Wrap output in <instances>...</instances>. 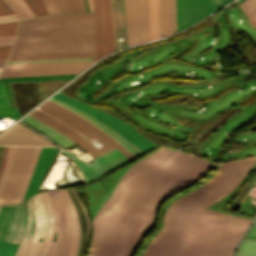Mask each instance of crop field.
Wrapping results in <instances>:
<instances>
[{"instance_id": "obj_1", "label": "crop field", "mask_w": 256, "mask_h": 256, "mask_svg": "<svg viewBox=\"0 0 256 256\" xmlns=\"http://www.w3.org/2000/svg\"><path fill=\"white\" fill-rule=\"evenodd\" d=\"M210 165L163 147L131 165L92 221L88 256H130L152 226L156 205L200 177Z\"/></svg>"}, {"instance_id": "obj_2", "label": "crop field", "mask_w": 256, "mask_h": 256, "mask_svg": "<svg viewBox=\"0 0 256 256\" xmlns=\"http://www.w3.org/2000/svg\"><path fill=\"white\" fill-rule=\"evenodd\" d=\"M248 160L222 164L219 171L203 185L174 200L165 212L162 229L141 256H231L240 234L244 233L252 220L203 208L220 200L236 187L256 163V158ZM187 217L190 222L240 234L190 223Z\"/></svg>"}, {"instance_id": "obj_3", "label": "crop field", "mask_w": 256, "mask_h": 256, "mask_svg": "<svg viewBox=\"0 0 256 256\" xmlns=\"http://www.w3.org/2000/svg\"><path fill=\"white\" fill-rule=\"evenodd\" d=\"M94 32L17 37L7 61L93 57Z\"/></svg>"}, {"instance_id": "obj_4", "label": "crop field", "mask_w": 256, "mask_h": 256, "mask_svg": "<svg viewBox=\"0 0 256 256\" xmlns=\"http://www.w3.org/2000/svg\"><path fill=\"white\" fill-rule=\"evenodd\" d=\"M39 108L51 114L52 116L58 118L59 120L63 121L67 125L71 126L78 132L88 137L90 140L96 137L104 145L98 149L92 146L88 141H86L82 136L73 131L71 128H69L62 122L52 118L51 116L37 109L30 113L31 116L37 118L38 120L46 123L47 125L55 128L56 130L71 138L76 144H78L84 151H86L92 157L116 147L131 160L135 158L124 148H122L118 143H116L111 137H109L106 133H104L103 131H101L88 121H86L78 114L64 107H61L49 100H47L45 103L39 106Z\"/></svg>"}, {"instance_id": "obj_5", "label": "crop field", "mask_w": 256, "mask_h": 256, "mask_svg": "<svg viewBox=\"0 0 256 256\" xmlns=\"http://www.w3.org/2000/svg\"><path fill=\"white\" fill-rule=\"evenodd\" d=\"M29 225L16 256H44L50 236L52 216L46 194L28 199ZM42 239L41 241H38Z\"/></svg>"}, {"instance_id": "obj_6", "label": "crop field", "mask_w": 256, "mask_h": 256, "mask_svg": "<svg viewBox=\"0 0 256 256\" xmlns=\"http://www.w3.org/2000/svg\"><path fill=\"white\" fill-rule=\"evenodd\" d=\"M94 31L93 13L20 21L18 36Z\"/></svg>"}, {"instance_id": "obj_7", "label": "crop field", "mask_w": 256, "mask_h": 256, "mask_svg": "<svg viewBox=\"0 0 256 256\" xmlns=\"http://www.w3.org/2000/svg\"><path fill=\"white\" fill-rule=\"evenodd\" d=\"M52 208L53 224L49 241L70 242L71 226L67 205L60 191L46 193ZM49 242L45 256H67L70 243Z\"/></svg>"}, {"instance_id": "obj_8", "label": "crop field", "mask_w": 256, "mask_h": 256, "mask_svg": "<svg viewBox=\"0 0 256 256\" xmlns=\"http://www.w3.org/2000/svg\"><path fill=\"white\" fill-rule=\"evenodd\" d=\"M53 97L66 102L84 112L87 114L95 117L96 119L102 121L104 124H106L109 128L114 130L116 133L121 135L123 138L134 144L136 147L141 149L142 151H147L154 146L151 141H149L147 138H145L143 135H141L139 132H137L135 129H133L131 126H129L127 123L107 114L102 111H99L97 109H94L92 107H89L87 105H84L80 102H77L73 99H70L66 96H63L59 93L55 94Z\"/></svg>"}, {"instance_id": "obj_9", "label": "crop field", "mask_w": 256, "mask_h": 256, "mask_svg": "<svg viewBox=\"0 0 256 256\" xmlns=\"http://www.w3.org/2000/svg\"><path fill=\"white\" fill-rule=\"evenodd\" d=\"M93 61L6 64L0 77L42 74H79Z\"/></svg>"}, {"instance_id": "obj_10", "label": "crop field", "mask_w": 256, "mask_h": 256, "mask_svg": "<svg viewBox=\"0 0 256 256\" xmlns=\"http://www.w3.org/2000/svg\"><path fill=\"white\" fill-rule=\"evenodd\" d=\"M35 147H18L8 175L6 184L0 197L4 198L2 205L12 204L19 183L29 165Z\"/></svg>"}, {"instance_id": "obj_11", "label": "crop field", "mask_w": 256, "mask_h": 256, "mask_svg": "<svg viewBox=\"0 0 256 256\" xmlns=\"http://www.w3.org/2000/svg\"><path fill=\"white\" fill-rule=\"evenodd\" d=\"M213 12L212 0H176L177 32Z\"/></svg>"}, {"instance_id": "obj_12", "label": "crop field", "mask_w": 256, "mask_h": 256, "mask_svg": "<svg viewBox=\"0 0 256 256\" xmlns=\"http://www.w3.org/2000/svg\"><path fill=\"white\" fill-rule=\"evenodd\" d=\"M20 204L0 207V256H4L17 229Z\"/></svg>"}, {"instance_id": "obj_13", "label": "crop field", "mask_w": 256, "mask_h": 256, "mask_svg": "<svg viewBox=\"0 0 256 256\" xmlns=\"http://www.w3.org/2000/svg\"><path fill=\"white\" fill-rule=\"evenodd\" d=\"M0 145L53 146L18 123L0 135Z\"/></svg>"}, {"instance_id": "obj_14", "label": "crop field", "mask_w": 256, "mask_h": 256, "mask_svg": "<svg viewBox=\"0 0 256 256\" xmlns=\"http://www.w3.org/2000/svg\"><path fill=\"white\" fill-rule=\"evenodd\" d=\"M129 45L142 41L140 1L124 0Z\"/></svg>"}, {"instance_id": "obj_15", "label": "crop field", "mask_w": 256, "mask_h": 256, "mask_svg": "<svg viewBox=\"0 0 256 256\" xmlns=\"http://www.w3.org/2000/svg\"><path fill=\"white\" fill-rule=\"evenodd\" d=\"M57 152H58V150H56L54 148H47V147L41 148V152L39 155L36 169L33 173L31 181L28 185V188L25 193L23 201L37 192L38 185H39L46 169L48 168V166L50 165V163L56 156Z\"/></svg>"}, {"instance_id": "obj_16", "label": "crop field", "mask_w": 256, "mask_h": 256, "mask_svg": "<svg viewBox=\"0 0 256 256\" xmlns=\"http://www.w3.org/2000/svg\"><path fill=\"white\" fill-rule=\"evenodd\" d=\"M114 39L116 51L118 50L117 37H124L120 42L121 49L128 46L123 0H110Z\"/></svg>"}, {"instance_id": "obj_17", "label": "crop field", "mask_w": 256, "mask_h": 256, "mask_svg": "<svg viewBox=\"0 0 256 256\" xmlns=\"http://www.w3.org/2000/svg\"><path fill=\"white\" fill-rule=\"evenodd\" d=\"M103 35H104V56L115 51L109 0H100Z\"/></svg>"}, {"instance_id": "obj_18", "label": "crop field", "mask_w": 256, "mask_h": 256, "mask_svg": "<svg viewBox=\"0 0 256 256\" xmlns=\"http://www.w3.org/2000/svg\"><path fill=\"white\" fill-rule=\"evenodd\" d=\"M61 192H62V194L65 198V201L68 205V209H69V213H70V217H71V225H72L71 245H70L68 256H76L79 234H80L78 217L76 214L74 204H73L67 190H63Z\"/></svg>"}, {"instance_id": "obj_19", "label": "crop field", "mask_w": 256, "mask_h": 256, "mask_svg": "<svg viewBox=\"0 0 256 256\" xmlns=\"http://www.w3.org/2000/svg\"><path fill=\"white\" fill-rule=\"evenodd\" d=\"M28 225V210H27V201L21 204L20 209V220H19V226L16 232V235L7 251L6 256H14L17 249L19 248Z\"/></svg>"}, {"instance_id": "obj_20", "label": "crop field", "mask_w": 256, "mask_h": 256, "mask_svg": "<svg viewBox=\"0 0 256 256\" xmlns=\"http://www.w3.org/2000/svg\"><path fill=\"white\" fill-rule=\"evenodd\" d=\"M94 8L95 19V54L94 61L103 57V35H102V23L100 15L99 0H92Z\"/></svg>"}, {"instance_id": "obj_21", "label": "crop field", "mask_w": 256, "mask_h": 256, "mask_svg": "<svg viewBox=\"0 0 256 256\" xmlns=\"http://www.w3.org/2000/svg\"><path fill=\"white\" fill-rule=\"evenodd\" d=\"M40 148L41 147H36L35 148V151H34V154H33V157L31 159V162H30V165H29V168L19 186V189H18V192H17V195H16V198H15V202L14 203H20L22 201V198L24 196V193H25V190L27 188V185L30 181V178L32 176V173L35 169V166H36V162H37V159H38V155H39V152H40Z\"/></svg>"}, {"instance_id": "obj_22", "label": "crop field", "mask_w": 256, "mask_h": 256, "mask_svg": "<svg viewBox=\"0 0 256 256\" xmlns=\"http://www.w3.org/2000/svg\"><path fill=\"white\" fill-rule=\"evenodd\" d=\"M60 13L87 12L84 0H54Z\"/></svg>"}, {"instance_id": "obj_23", "label": "crop field", "mask_w": 256, "mask_h": 256, "mask_svg": "<svg viewBox=\"0 0 256 256\" xmlns=\"http://www.w3.org/2000/svg\"><path fill=\"white\" fill-rule=\"evenodd\" d=\"M8 7L13 11L14 15L19 19H28L29 16L26 14L24 9L21 7L17 0H4ZM2 0H0V15L12 13Z\"/></svg>"}, {"instance_id": "obj_24", "label": "crop field", "mask_w": 256, "mask_h": 256, "mask_svg": "<svg viewBox=\"0 0 256 256\" xmlns=\"http://www.w3.org/2000/svg\"><path fill=\"white\" fill-rule=\"evenodd\" d=\"M247 236L256 237V224ZM236 256H256V240L244 239Z\"/></svg>"}, {"instance_id": "obj_25", "label": "crop field", "mask_w": 256, "mask_h": 256, "mask_svg": "<svg viewBox=\"0 0 256 256\" xmlns=\"http://www.w3.org/2000/svg\"><path fill=\"white\" fill-rule=\"evenodd\" d=\"M143 42L150 40L149 1L141 0Z\"/></svg>"}, {"instance_id": "obj_26", "label": "crop field", "mask_w": 256, "mask_h": 256, "mask_svg": "<svg viewBox=\"0 0 256 256\" xmlns=\"http://www.w3.org/2000/svg\"><path fill=\"white\" fill-rule=\"evenodd\" d=\"M0 85V118L19 117L16 108L9 109L3 83Z\"/></svg>"}, {"instance_id": "obj_27", "label": "crop field", "mask_w": 256, "mask_h": 256, "mask_svg": "<svg viewBox=\"0 0 256 256\" xmlns=\"http://www.w3.org/2000/svg\"><path fill=\"white\" fill-rule=\"evenodd\" d=\"M16 148H17V146H10V148H9L6 164H5V167H4L3 172L1 174V177H0V194H1V191H2L3 186L5 184L7 175L9 173V170H10L13 158H14V154H15Z\"/></svg>"}, {"instance_id": "obj_28", "label": "crop field", "mask_w": 256, "mask_h": 256, "mask_svg": "<svg viewBox=\"0 0 256 256\" xmlns=\"http://www.w3.org/2000/svg\"><path fill=\"white\" fill-rule=\"evenodd\" d=\"M30 9L36 15V17H43L49 15L42 0H25Z\"/></svg>"}, {"instance_id": "obj_29", "label": "crop field", "mask_w": 256, "mask_h": 256, "mask_svg": "<svg viewBox=\"0 0 256 256\" xmlns=\"http://www.w3.org/2000/svg\"><path fill=\"white\" fill-rule=\"evenodd\" d=\"M161 37L168 35L167 0H160Z\"/></svg>"}, {"instance_id": "obj_30", "label": "crop field", "mask_w": 256, "mask_h": 256, "mask_svg": "<svg viewBox=\"0 0 256 256\" xmlns=\"http://www.w3.org/2000/svg\"><path fill=\"white\" fill-rule=\"evenodd\" d=\"M150 1V25H151V40L157 38V24H156V1Z\"/></svg>"}, {"instance_id": "obj_31", "label": "crop field", "mask_w": 256, "mask_h": 256, "mask_svg": "<svg viewBox=\"0 0 256 256\" xmlns=\"http://www.w3.org/2000/svg\"><path fill=\"white\" fill-rule=\"evenodd\" d=\"M168 22H169V35L176 32L175 21V1L168 0Z\"/></svg>"}, {"instance_id": "obj_32", "label": "crop field", "mask_w": 256, "mask_h": 256, "mask_svg": "<svg viewBox=\"0 0 256 256\" xmlns=\"http://www.w3.org/2000/svg\"><path fill=\"white\" fill-rule=\"evenodd\" d=\"M18 22L1 24L0 25V36L5 35H16Z\"/></svg>"}, {"instance_id": "obj_33", "label": "crop field", "mask_w": 256, "mask_h": 256, "mask_svg": "<svg viewBox=\"0 0 256 256\" xmlns=\"http://www.w3.org/2000/svg\"><path fill=\"white\" fill-rule=\"evenodd\" d=\"M247 16L256 14V1L241 6Z\"/></svg>"}, {"instance_id": "obj_34", "label": "crop field", "mask_w": 256, "mask_h": 256, "mask_svg": "<svg viewBox=\"0 0 256 256\" xmlns=\"http://www.w3.org/2000/svg\"><path fill=\"white\" fill-rule=\"evenodd\" d=\"M72 60H93V58L44 59V60L16 61V62H7V63H18V62H40V61H72Z\"/></svg>"}, {"instance_id": "obj_35", "label": "crop field", "mask_w": 256, "mask_h": 256, "mask_svg": "<svg viewBox=\"0 0 256 256\" xmlns=\"http://www.w3.org/2000/svg\"><path fill=\"white\" fill-rule=\"evenodd\" d=\"M49 12L51 15H54V14H59L53 0H44Z\"/></svg>"}, {"instance_id": "obj_36", "label": "crop field", "mask_w": 256, "mask_h": 256, "mask_svg": "<svg viewBox=\"0 0 256 256\" xmlns=\"http://www.w3.org/2000/svg\"><path fill=\"white\" fill-rule=\"evenodd\" d=\"M230 1H232V0H213L214 10L222 7L223 5L229 3Z\"/></svg>"}, {"instance_id": "obj_37", "label": "crop field", "mask_w": 256, "mask_h": 256, "mask_svg": "<svg viewBox=\"0 0 256 256\" xmlns=\"http://www.w3.org/2000/svg\"><path fill=\"white\" fill-rule=\"evenodd\" d=\"M8 147H9V146H5V147H4V150H3V153H2V157H1V160H0V174H1L2 169H3V167H4V163H5V159H6Z\"/></svg>"}, {"instance_id": "obj_38", "label": "crop field", "mask_w": 256, "mask_h": 256, "mask_svg": "<svg viewBox=\"0 0 256 256\" xmlns=\"http://www.w3.org/2000/svg\"><path fill=\"white\" fill-rule=\"evenodd\" d=\"M72 189H73L74 193L76 194V192H75L74 188H72ZM76 196H77V194H76ZM77 198L79 199V197H78V196H77ZM79 201H80V203H81V205H82V207H83V209H84V212H85V214H86V216H87L88 227H89V233H90L89 218H88V215H87L86 209H85V207H84V205L82 204V202H81V200H80V199H79ZM89 233H88V238H87V242H86V247H87V243H88V239H89ZM86 247H85V251H84V256H85V252H86Z\"/></svg>"}, {"instance_id": "obj_39", "label": "crop field", "mask_w": 256, "mask_h": 256, "mask_svg": "<svg viewBox=\"0 0 256 256\" xmlns=\"http://www.w3.org/2000/svg\"><path fill=\"white\" fill-rule=\"evenodd\" d=\"M157 1V24H158V38L160 37V15H159V0Z\"/></svg>"}, {"instance_id": "obj_40", "label": "crop field", "mask_w": 256, "mask_h": 256, "mask_svg": "<svg viewBox=\"0 0 256 256\" xmlns=\"http://www.w3.org/2000/svg\"><path fill=\"white\" fill-rule=\"evenodd\" d=\"M20 4L23 6V8L26 10V12L29 14L30 17H34L28 6L25 4L23 0H18Z\"/></svg>"}, {"instance_id": "obj_41", "label": "crop field", "mask_w": 256, "mask_h": 256, "mask_svg": "<svg viewBox=\"0 0 256 256\" xmlns=\"http://www.w3.org/2000/svg\"><path fill=\"white\" fill-rule=\"evenodd\" d=\"M11 47L0 48V54H8Z\"/></svg>"}, {"instance_id": "obj_42", "label": "crop field", "mask_w": 256, "mask_h": 256, "mask_svg": "<svg viewBox=\"0 0 256 256\" xmlns=\"http://www.w3.org/2000/svg\"><path fill=\"white\" fill-rule=\"evenodd\" d=\"M249 19H250L253 27H255L256 26V15L249 16Z\"/></svg>"}, {"instance_id": "obj_43", "label": "crop field", "mask_w": 256, "mask_h": 256, "mask_svg": "<svg viewBox=\"0 0 256 256\" xmlns=\"http://www.w3.org/2000/svg\"><path fill=\"white\" fill-rule=\"evenodd\" d=\"M6 59L0 60V71L5 63Z\"/></svg>"}, {"instance_id": "obj_44", "label": "crop field", "mask_w": 256, "mask_h": 256, "mask_svg": "<svg viewBox=\"0 0 256 256\" xmlns=\"http://www.w3.org/2000/svg\"><path fill=\"white\" fill-rule=\"evenodd\" d=\"M88 5H89L90 11H93V8H92V1H91V0H88Z\"/></svg>"}, {"instance_id": "obj_45", "label": "crop field", "mask_w": 256, "mask_h": 256, "mask_svg": "<svg viewBox=\"0 0 256 256\" xmlns=\"http://www.w3.org/2000/svg\"><path fill=\"white\" fill-rule=\"evenodd\" d=\"M250 1H253V0H245V1L242 2L240 5L245 4V3H248V2H250Z\"/></svg>"}, {"instance_id": "obj_46", "label": "crop field", "mask_w": 256, "mask_h": 256, "mask_svg": "<svg viewBox=\"0 0 256 256\" xmlns=\"http://www.w3.org/2000/svg\"><path fill=\"white\" fill-rule=\"evenodd\" d=\"M8 55H0V59L7 58Z\"/></svg>"}, {"instance_id": "obj_47", "label": "crop field", "mask_w": 256, "mask_h": 256, "mask_svg": "<svg viewBox=\"0 0 256 256\" xmlns=\"http://www.w3.org/2000/svg\"><path fill=\"white\" fill-rule=\"evenodd\" d=\"M2 200H3V199H2V198H0V205L2 204Z\"/></svg>"}, {"instance_id": "obj_48", "label": "crop field", "mask_w": 256, "mask_h": 256, "mask_svg": "<svg viewBox=\"0 0 256 256\" xmlns=\"http://www.w3.org/2000/svg\"><path fill=\"white\" fill-rule=\"evenodd\" d=\"M3 130H0V132H2Z\"/></svg>"}]
</instances>
